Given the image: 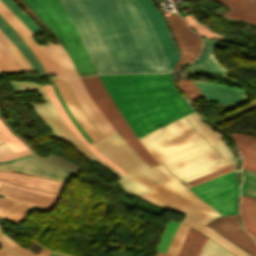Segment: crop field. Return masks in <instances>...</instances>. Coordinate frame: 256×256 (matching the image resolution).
Returning <instances> with one entry per match:
<instances>
[{"mask_svg":"<svg viewBox=\"0 0 256 256\" xmlns=\"http://www.w3.org/2000/svg\"><path fill=\"white\" fill-rule=\"evenodd\" d=\"M101 73L168 72L152 28L135 0H60Z\"/></svg>","mask_w":256,"mask_h":256,"instance_id":"crop-field-1","label":"crop field"},{"mask_svg":"<svg viewBox=\"0 0 256 256\" xmlns=\"http://www.w3.org/2000/svg\"><path fill=\"white\" fill-rule=\"evenodd\" d=\"M100 77L123 118L158 163H161L144 135L194 112L175 89L171 73Z\"/></svg>","mask_w":256,"mask_h":256,"instance_id":"crop-field-2","label":"crop field"},{"mask_svg":"<svg viewBox=\"0 0 256 256\" xmlns=\"http://www.w3.org/2000/svg\"><path fill=\"white\" fill-rule=\"evenodd\" d=\"M185 117L225 159L233 157L220 133L214 132L200 120L197 113H193L146 135L173 174L186 183L235 162L234 159L219 163L224 160L223 157Z\"/></svg>","mask_w":256,"mask_h":256,"instance_id":"crop-field-3","label":"crop field"},{"mask_svg":"<svg viewBox=\"0 0 256 256\" xmlns=\"http://www.w3.org/2000/svg\"><path fill=\"white\" fill-rule=\"evenodd\" d=\"M35 85V84H34ZM40 92L42 98L47 103L41 105L45 112L60 128V130L85 154L93 159L99 165L107 168L116 175L121 177V180L117 181L123 190L129 194L142 198L158 184H160L164 178L158 175L148 165H146L135 152L127 145V143L118 135V133L112 134L106 138L98 140L92 143L100 152L108 157L112 162L126 171L128 174L125 176L112 169L102 159L95 155L90 149H88L66 126L63 120L58 115L57 111L53 107L49 100L43 86L35 85Z\"/></svg>","mask_w":256,"mask_h":256,"instance_id":"crop-field-4","label":"crop field"},{"mask_svg":"<svg viewBox=\"0 0 256 256\" xmlns=\"http://www.w3.org/2000/svg\"><path fill=\"white\" fill-rule=\"evenodd\" d=\"M57 37L80 76L98 74L74 25L58 0H23Z\"/></svg>","mask_w":256,"mask_h":256,"instance_id":"crop-field-5","label":"crop field"},{"mask_svg":"<svg viewBox=\"0 0 256 256\" xmlns=\"http://www.w3.org/2000/svg\"><path fill=\"white\" fill-rule=\"evenodd\" d=\"M166 180L143 199L163 208L178 212L204 225L220 216L208 204L197 198L164 164L154 166Z\"/></svg>","mask_w":256,"mask_h":256,"instance_id":"crop-field-6","label":"crop field"},{"mask_svg":"<svg viewBox=\"0 0 256 256\" xmlns=\"http://www.w3.org/2000/svg\"><path fill=\"white\" fill-rule=\"evenodd\" d=\"M87 90L91 94L99 108L113 124L116 130L130 144V146L139 154V156L149 165H157V161L137 138L134 132L124 121L117 108L113 104L107 90L105 89L99 75L81 78Z\"/></svg>","mask_w":256,"mask_h":256,"instance_id":"crop-field-7","label":"crop field"},{"mask_svg":"<svg viewBox=\"0 0 256 256\" xmlns=\"http://www.w3.org/2000/svg\"><path fill=\"white\" fill-rule=\"evenodd\" d=\"M0 173L14 175V176H20V177H25V178H30V179H34V180H39V181H43V182L61 185V186H57V185L27 180V179H23V178L0 175V179H2V180H7V181L23 184L26 186L59 193V194H56V193L41 191V190L17 185V184L7 182V181H5V183L2 185V187L0 189V192L12 195L14 197H17V198H20V199H23L26 201L44 205L51 209H53L56 201L58 200V198L64 188V184H65L63 182L43 179V178H39V177H35V176L10 173V172H2V171H0Z\"/></svg>","mask_w":256,"mask_h":256,"instance_id":"crop-field-8","label":"crop field"},{"mask_svg":"<svg viewBox=\"0 0 256 256\" xmlns=\"http://www.w3.org/2000/svg\"><path fill=\"white\" fill-rule=\"evenodd\" d=\"M234 172L190 187V190L221 215L236 213L237 185Z\"/></svg>","mask_w":256,"mask_h":256,"instance_id":"crop-field-9","label":"crop field"},{"mask_svg":"<svg viewBox=\"0 0 256 256\" xmlns=\"http://www.w3.org/2000/svg\"><path fill=\"white\" fill-rule=\"evenodd\" d=\"M0 169L27 173L64 182L67 181L71 174L70 172L55 165L42 161L41 159L37 158L34 153L1 163Z\"/></svg>","mask_w":256,"mask_h":256,"instance_id":"crop-field-10","label":"crop field"},{"mask_svg":"<svg viewBox=\"0 0 256 256\" xmlns=\"http://www.w3.org/2000/svg\"><path fill=\"white\" fill-rule=\"evenodd\" d=\"M136 1L142 6L143 10L145 11L171 69L179 57V52L169 34L164 18L155 8L152 0Z\"/></svg>","mask_w":256,"mask_h":256,"instance_id":"crop-field-11","label":"crop field"},{"mask_svg":"<svg viewBox=\"0 0 256 256\" xmlns=\"http://www.w3.org/2000/svg\"><path fill=\"white\" fill-rule=\"evenodd\" d=\"M66 80L76 100L86 115L89 117V119L92 121V123L95 125V127L104 136L116 132L115 128L99 110L90 94L86 90L85 86L81 82L80 78Z\"/></svg>","mask_w":256,"mask_h":256,"instance_id":"crop-field-12","label":"crop field"},{"mask_svg":"<svg viewBox=\"0 0 256 256\" xmlns=\"http://www.w3.org/2000/svg\"><path fill=\"white\" fill-rule=\"evenodd\" d=\"M216 40H206L205 50L202 57L191 67L216 73L222 77H228L230 71L223 69L213 56V48ZM178 86L191 101L203 97L193 80L178 79Z\"/></svg>","mask_w":256,"mask_h":256,"instance_id":"crop-field-13","label":"crop field"},{"mask_svg":"<svg viewBox=\"0 0 256 256\" xmlns=\"http://www.w3.org/2000/svg\"><path fill=\"white\" fill-rule=\"evenodd\" d=\"M166 18L182 53L181 58L175 68L177 69L197 56L201 47V42L200 39L188 29L177 14L167 16Z\"/></svg>","mask_w":256,"mask_h":256,"instance_id":"crop-field-14","label":"crop field"},{"mask_svg":"<svg viewBox=\"0 0 256 256\" xmlns=\"http://www.w3.org/2000/svg\"><path fill=\"white\" fill-rule=\"evenodd\" d=\"M207 226L235 242L253 256H256V244L251 235H248L241 230L237 214L218 217Z\"/></svg>","mask_w":256,"mask_h":256,"instance_id":"crop-field-15","label":"crop field"},{"mask_svg":"<svg viewBox=\"0 0 256 256\" xmlns=\"http://www.w3.org/2000/svg\"><path fill=\"white\" fill-rule=\"evenodd\" d=\"M57 89L68 107L71 114L80 124V126L88 133V135L95 141L103 136L95 129V127L91 124V122L87 119L84 113L81 111L79 105L76 103L70 89L68 88L65 80L60 77L53 78Z\"/></svg>","mask_w":256,"mask_h":256,"instance_id":"crop-field-16","label":"crop field"},{"mask_svg":"<svg viewBox=\"0 0 256 256\" xmlns=\"http://www.w3.org/2000/svg\"><path fill=\"white\" fill-rule=\"evenodd\" d=\"M206 98V101H218L228 107L245 99L250 94L236 88H227L223 85L195 81Z\"/></svg>","mask_w":256,"mask_h":256,"instance_id":"crop-field-17","label":"crop field"},{"mask_svg":"<svg viewBox=\"0 0 256 256\" xmlns=\"http://www.w3.org/2000/svg\"><path fill=\"white\" fill-rule=\"evenodd\" d=\"M223 3L232 9L226 15L227 18L239 21L240 19L256 26V4L251 0H210Z\"/></svg>","mask_w":256,"mask_h":256,"instance_id":"crop-field-18","label":"crop field"},{"mask_svg":"<svg viewBox=\"0 0 256 256\" xmlns=\"http://www.w3.org/2000/svg\"><path fill=\"white\" fill-rule=\"evenodd\" d=\"M242 154L243 168L256 170V136L246 133H230Z\"/></svg>","mask_w":256,"mask_h":256,"instance_id":"crop-field-19","label":"crop field"},{"mask_svg":"<svg viewBox=\"0 0 256 256\" xmlns=\"http://www.w3.org/2000/svg\"><path fill=\"white\" fill-rule=\"evenodd\" d=\"M0 29L11 39V41L22 52V54L26 57V59L29 61V63L35 70V72L45 73L44 69L42 68L36 56L30 50V48L1 16Z\"/></svg>","mask_w":256,"mask_h":256,"instance_id":"crop-field-20","label":"crop field"},{"mask_svg":"<svg viewBox=\"0 0 256 256\" xmlns=\"http://www.w3.org/2000/svg\"><path fill=\"white\" fill-rule=\"evenodd\" d=\"M49 98L51 99L53 105L56 107L57 111L60 113L63 120L66 122L68 127L73 131V133L78 136L82 142L89 147L95 154H97L100 158H102L105 162H107L109 165H111L113 168L121 172L122 174H126L123 170H121L119 167H117L114 163H112L109 159H107L103 154H101L99 151H97L94 147L90 145V143L81 135V133L76 129V127L71 122L70 118L64 111L63 107L61 106L53 88L51 85L44 86Z\"/></svg>","mask_w":256,"mask_h":256,"instance_id":"crop-field-21","label":"crop field"},{"mask_svg":"<svg viewBox=\"0 0 256 256\" xmlns=\"http://www.w3.org/2000/svg\"><path fill=\"white\" fill-rule=\"evenodd\" d=\"M240 216L244 223V230L256 235V198L241 196Z\"/></svg>","mask_w":256,"mask_h":256,"instance_id":"crop-field-22","label":"crop field"},{"mask_svg":"<svg viewBox=\"0 0 256 256\" xmlns=\"http://www.w3.org/2000/svg\"><path fill=\"white\" fill-rule=\"evenodd\" d=\"M182 223L201 231L203 234H205L206 236H208L209 238H211L212 240H214L215 242H217L218 244H220L221 246H223L224 248H226L228 251H230L236 256H250L245 252L241 251L240 248H238L237 246H235L234 244H232L231 242L226 240L224 237H222L221 235H219L218 233H216L215 231H213L208 227H205L186 217L182 220Z\"/></svg>","mask_w":256,"mask_h":256,"instance_id":"crop-field-23","label":"crop field"},{"mask_svg":"<svg viewBox=\"0 0 256 256\" xmlns=\"http://www.w3.org/2000/svg\"><path fill=\"white\" fill-rule=\"evenodd\" d=\"M208 237L190 228L178 256H198Z\"/></svg>","mask_w":256,"mask_h":256,"instance_id":"crop-field-24","label":"crop field"},{"mask_svg":"<svg viewBox=\"0 0 256 256\" xmlns=\"http://www.w3.org/2000/svg\"><path fill=\"white\" fill-rule=\"evenodd\" d=\"M46 48L54 58L59 68L61 69L64 77L78 76L70 58L68 57L67 53L64 51L60 44L53 45L49 43V47Z\"/></svg>","mask_w":256,"mask_h":256,"instance_id":"crop-field-25","label":"crop field"},{"mask_svg":"<svg viewBox=\"0 0 256 256\" xmlns=\"http://www.w3.org/2000/svg\"><path fill=\"white\" fill-rule=\"evenodd\" d=\"M0 244L3 246L0 250V256H36L23 247L15 244L3 233L0 234ZM50 253L51 251H47L43 248L38 256H48Z\"/></svg>","mask_w":256,"mask_h":256,"instance_id":"crop-field-26","label":"crop field"},{"mask_svg":"<svg viewBox=\"0 0 256 256\" xmlns=\"http://www.w3.org/2000/svg\"><path fill=\"white\" fill-rule=\"evenodd\" d=\"M0 8L7 13L14 22L19 26V28L29 37L33 35L22 23L21 21L0 1ZM35 44V43H34ZM36 45V44H35ZM37 46V45H36ZM37 48L40 50V52L43 54L45 59L47 60L48 64L52 68V70L55 72L56 75L63 77L62 73L60 72L59 68L57 67L56 63L52 59L51 55L45 48V46H37Z\"/></svg>","mask_w":256,"mask_h":256,"instance_id":"crop-field-27","label":"crop field"},{"mask_svg":"<svg viewBox=\"0 0 256 256\" xmlns=\"http://www.w3.org/2000/svg\"><path fill=\"white\" fill-rule=\"evenodd\" d=\"M0 15L14 28V30L21 36V38L28 44V46L31 48V50L34 52V54L39 59L40 63L44 67L47 74H54L49 65L46 63L44 57L39 52V50L36 48V46L32 43V41L18 28V26L13 22V20L6 15L1 9H0Z\"/></svg>","mask_w":256,"mask_h":256,"instance_id":"crop-field-28","label":"crop field"},{"mask_svg":"<svg viewBox=\"0 0 256 256\" xmlns=\"http://www.w3.org/2000/svg\"><path fill=\"white\" fill-rule=\"evenodd\" d=\"M2 72L9 75L24 72V70L0 45V73Z\"/></svg>","mask_w":256,"mask_h":256,"instance_id":"crop-field-29","label":"crop field"},{"mask_svg":"<svg viewBox=\"0 0 256 256\" xmlns=\"http://www.w3.org/2000/svg\"><path fill=\"white\" fill-rule=\"evenodd\" d=\"M0 194L4 197L10 199V200H13V201L17 202L5 218V220H7L11 223H13V221L15 220V218L17 217L18 213L20 212V210L23 208L24 205H26V206H28L32 209L42 211V212H48V211L51 210L47 207L40 206V205H37V204H33V203H30V202H26V201L11 197V196L3 194V193H0Z\"/></svg>","mask_w":256,"mask_h":256,"instance_id":"crop-field-30","label":"crop field"},{"mask_svg":"<svg viewBox=\"0 0 256 256\" xmlns=\"http://www.w3.org/2000/svg\"><path fill=\"white\" fill-rule=\"evenodd\" d=\"M31 108L34 110L38 118L44 122L47 127L53 132V134L57 137L62 139L64 142L70 141L59 129L58 127L51 121L48 115L44 112L40 105H34L29 103Z\"/></svg>","mask_w":256,"mask_h":256,"instance_id":"crop-field-31","label":"crop field"},{"mask_svg":"<svg viewBox=\"0 0 256 256\" xmlns=\"http://www.w3.org/2000/svg\"><path fill=\"white\" fill-rule=\"evenodd\" d=\"M0 43L4 46V48L12 53L15 58L19 61V63L26 69V71H33L28 61L21 54V52L16 48V46L1 32L0 30Z\"/></svg>","mask_w":256,"mask_h":256,"instance_id":"crop-field-32","label":"crop field"},{"mask_svg":"<svg viewBox=\"0 0 256 256\" xmlns=\"http://www.w3.org/2000/svg\"><path fill=\"white\" fill-rule=\"evenodd\" d=\"M0 137L11 147L13 152L27 149V147L0 121Z\"/></svg>","mask_w":256,"mask_h":256,"instance_id":"crop-field-33","label":"crop field"},{"mask_svg":"<svg viewBox=\"0 0 256 256\" xmlns=\"http://www.w3.org/2000/svg\"><path fill=\"white\" fill-rule=\"evenodd\" d=\"M244 183L241 186V195L256 197V172L242 169Z\"/></svg>","mask_w":256,"mask_h":256,"instance_id":"crop-field-34","label":"crop field"},{"mask_svg":"<svg viewBox=\"0 0 256 256\" xmlns=\"http://www.w3.org/2000/svg\"><path fill=\"white\" fill-rule=\"evenodd\" d=\"M21 21L22 23L34 34L39 29L32 23L26 14L18 7L13 0H1Z\"/></svg>","mask_w":256,"mask_h":256,"instance_id":"crop-field-35","label":"crop field"},{"mask_svg":"<svg viewBox=\"0 0 256 256\" xmlns=\"http://www.w3.org/2000/svg\"><path fill=\"white\" fill-rule=\"evenodd\" d=\"M178 224L179 223H177V222H173L170 220L168 221L156 251H160V252H164V253L166 252V250L171 242V239L178 227Z\"/></svg>","mask_w":256,"mask_h":256,"instance_id":"crop-field-36","label":"crop field"},{"mask_svg":"<svg viewBox=\"0 0 256 256\" xmlns=\"http://www.w3.org/2000/svg\"><path fill=\"white\" fill-rule=\"evenodd\" d=\"M188 230H189V227L183 224L179 225L175 233V236L166 253L177 256L180 246L182 244V241L185 235L187 234Z\"/></svg>","mask_w":256,"mask_h":256,"instance_id":"crop-field-37","label":"crop field"},{"mask_svg":"<svg viewBox=\"0 0 256 256\" xmlns=\"http://www.w3.org/2000/svg\"><path fill=\"white\" fill-rule=\"evenodd\" d=\"M199 256H234L208 238Z\"/></svg>","mask_w":256,"mask_h":256,"instance_id":"crop-field-38","label":"crop field"},{"mask_svg":"<svg viewBox=\"0 0 256 256\" xmlns=\"http://www.w3.org/2000/svg\"><path fill=\"white\" fill-rule=\"evenodd\" d=\"M233 170H235V163L232 164V165L226 166V167H224V168H221V169H219V170H217V171H215V172H213V173H210V174H208V175H205V176H203V177H200V178H198V179H196V180H193V181H191V182H188V183H186V185H187L188 187H190V186H193V185L202 183V182H204V181H207V180H209V179H212V178H214V177H217V176H219V175H222V174H224V173H226V172L233 171Z\"/></svg>","mask_w":256,"mask_h":256,"instance_id":"crop-field-39","label":"crop field"},{"mask_svg":"<svg viewBox=\"0 0 256 256\" xmlns=\"http://www.w3.org/2000/svg\"><path fill=\"white\" fill-rule=\"evenodd\" d=\"M185 20L189 23V25L199 34H201L204 38L205 37H215V38H221L209 29L201 26L191 15L185 17Z\"/></svg>","mask_w":256,"mask_h":256,"instance_id":"crop-field-40","label":"crop field"},{"mask_svg":"<svg viewBox=\"0 0 256 256\" xmlns=\"http://www.w3.org/2000/svg\"><path fill=\"white\" fill-rule=\"evenodd\" d=\"M8 82H9V84L11 85V87L13 88V90L15 92L34 91V90H36L31 82L30 83H26V82H11V81H8Z\"/></svg>","mask_w":256,"mask_h":256,"instance_id":"crop-field-41","label":"crop field"},{"mask_svg":"<svg viewBox=\"0 0 256 256\" xmlns=\"http://www.w3.org/2000/svg\"><path fill=\"white\" fill-rule=\"evenodd\" d=\"M55 92H56V86L55 84L52 85ZM62 106L64 107L65 111L67 112V114L69 115V117L71 118L72 122L74 123V125L77 127V129L82 133V135L91 143L93 142V140L86 134V132L77 124V122L75 121V119L72 117V115L70 114V112L68 111V109L66 108L65 104L63 103L58 91L56 92Z\"/></svg>","mask_w":256,"mask_h":256,"instance_id":"crop-field-42","label":"crop field"},{"mask_svg":"<svg viewBox=\"0 0 256 256\" xmlns=\"http://www.w3.org/2000/svg\"><path fill=\"white\" fill-rule=\"evenodd\" d=\"M16 202L0 198V217L5 218Z\"/></svg>","mask_w":256,"mask_h":256,"instance_id":"crop-field-43","label":"crop field"},{"mask_svg":"<svg viewBox=\"0 0 256 256\" xmlns=\"http://www.w3.org/2000/svg\"><path fill=\"white\" fill-rule=\"evenodd\" d=\"M28 153H31V151L29 149L20 151V152H16V153H12V154H8V155H4V156H0V161L17 158V157L23 156Z\"/></svg>","mask_w":256,"mask_h":256,"instance_id":"crop-field-44","label":"crop field"},{"mask_svg":"<svg viewBox=\"0 0 256 256\" xmlns=\"http://www.w3.org/2000/svg\"><path fill=\"white\" fill-rule=\"evenodd\" d=\"M19 3H21L26 10L55 38L56 42L58 43L56 37L51 33V31L39 20V18L24 4L22 0H17ZM24 8V9H25Z\"/></svg>","mask_w":256,"mask_h":256,"instance_id":"crop-field-45","label":"crop field"},{"mask_svg":"<svg viewBox=\"0 0 256 256\" xmlns=\"http://www.w3.org/2000/svg\"><path fill=\"white\" fill-rule=\"evenodd\" d=\"M30 208H27L24 206V208L22 209L21 213L19 214V216L16 218V220L14 221V224L16 225H20L21 221L23 220V218L26 216V214L29 212Z\"/></svg>","mask_w":256,"mask_h":256,"instance_id":"crop-field-46","label":"crop field"},{"mask_svg":"<svg viewBox=\"0 0 256 256\" xmlns=\"http://www.w3.org/2000/svg\"><path fill=\"white\" fill-rule=\"evenodd\" d=\"M11 149L7 146V144L4 142L0 144V155L11 153Z\"/></svg>","mask_w":256,"mask_h":256,"instance_id":"crop-field-47","label":"crop field"},{"mask_svg":"<svg viewBox=\"0 0 256 256\" xmlns=\"http://www.w3.org/2000/svg\"><path fill=\"white\" fill-rule=\"evenodd\" d=\"M50 256H64V255H60V254H57V253H55V252H52V253L50 254Z\"/></svg>","mask_w":256,"mask_h":256,"instance_id":"crop-field-48","label":"crop field"},{"mask_svg":"<svg viewBox=\"0 0 256 256\" xmlns=\"http://www.w3.org/2000/svg\"><path fill=\"white\" fill-rule=\"evenodd\" d=\"M156 256H171V255H167V254H163V253L158 252Z\"/></svg>","mask_w":256,"mask_h":256,"instance_id":"crop-field-49","label":"crop field"},{"mask_svg":"<svg viewBox=\"0 0 256 256\" xmlns=\"http://www.w3.org/2000/svg\"><path fill=\"white\" fill-rule=\"evenodd\" d=\"M252 237L254 238V240H255V242H256V236H253V235H252Z\"/></svg>","mask_w":256,"mask_h":256,"instance_id":"crop-field-50","label":"crop field"},{"mask_svg":"<svg viewBox=\"0 0 256 256\" xmlns=\"http://www.w3.org/2000/svg\"><path fill=\"white\" fill-rule=\"evenodd\" d=\"M3 142V140L0 138V143Z\"/></svg>","mask_w":256,"mask_h":256,"instance_id":"crop-field-51","label":"crop field"},{"mask_svg":"<svg viewBox=\"0 0 256 256\" xmlns=\"http://www.w3.org/2000/svg\"><path fill=\"white\" fill-rule=\"evenodd\" d=\"M2 184V182L0 181V185Z\"/></svg>","mask_w":256,"mask_h":256,"instance_id":"crop-field-52","label":"crop field"},{"mask_svg":"<svg viewBox=\"0 0 256 256\" xmlns=\"http://www.w3.org/2000/svg\"><path fill=\"white\" fill-rule=\"evenodd\" d=\"M256 2V0H254Z\"/></svg>","mask_w":256,"mask_h":256,"instance_id":"crop-field-53","label":"crop field"}]
</instances>
